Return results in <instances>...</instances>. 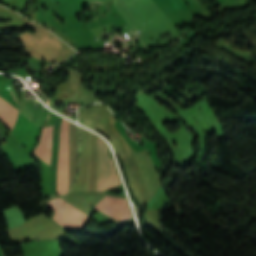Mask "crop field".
Instances as JSON below:
<instances>
[{"instance_id": "crop-field-2", "label": "crop field", "mask_w": 256, "mask_h": 256, "mask_svg": "<svg viewBox=\"0 0 256 256\" xmlns=\"http://www.w3.org/2000/svg\"><path fill=\"white\" fill-rule=\"evenodd\" d=\"M59 129H60V116L57 115L53 123L50 195L57 194ZM70 136H71V122L69 121V190H70ZM67 189H68V174H67Z\"/></svg>"}, {"instance_id": "crop-field-6", "label": "crop field", "mask_w": 256, "mask_h": 256, "mask_svg": "<svg viewBox=\"0 0 256 256\" xmlns=\"http://www.w3.org/2000/svg\"><path fill=\"white\" fill-rule=\"evenodd\" d=\"M8 89H9V92H10L11 96L13 97V99L15 100V97H16V99L18 100L19 98H18L17 94L14 93V95H15V97H14V95H13V93L11 92L9 86H8Z\"/></svg>"}, {"instance_id": "crop-field-1", "label": "crop field", "mask_w": 256, "mask_h": 256, "mask_svg": "<svg viewBox=\"0 0 256 256\" xmlns=\"http://www.w3.org/2000/svg\"><path fill=\"white\" fill-rule=\"evenodd\" d=\"M121 183L113 159L109 156L107 144L99 137L97 191L109 189Z\"/></svg>"}, {"instance_id": "crop-field-4", "label": "crop field", "mask_w": 256, "mask_h": 256, "mask_svg": "<svg viewBox=\"0 0 256 256\" xmlns=\"http://www.w3.org/2000/svg\"><path fill=\"white\" fill-rule=\"evenodd\" d=\"M51 137L52 127H43L39 145L35 149V153L41 157L50 166L51 157Z\"/></svg>"}, {"instance_id": "crop-field-3", "label": "crop field", "mask_w": 256, "mask_h": 256, "mask_svg": "<svg viewBox=\"0 0 256 256\" xmlns=\"http://www.w3.org/2000/svg\"><path fill=\"white\" fill-rule=\"evenodd\" d=\"M95 207L107 212L116 220L132 217L127 206L126 196H105Z\"/></svg>"}, {"instance_id": "crop-field-5", "label": "crop field", "mask_w": 256, "mask_h": 256, "mask_svg": "<svg viewBox=\"0 0 256 256\" xmlns=\"http://www.w3.org/2000/svg\"><path fill=\"white\" fill-rule=\"evenodd\" d=\"M18 109L0 97V120L11 130L17 115Z\"/></svg>"}]
</instances>
